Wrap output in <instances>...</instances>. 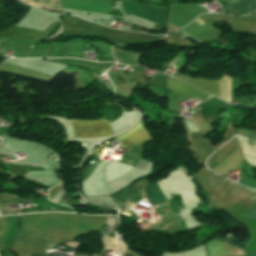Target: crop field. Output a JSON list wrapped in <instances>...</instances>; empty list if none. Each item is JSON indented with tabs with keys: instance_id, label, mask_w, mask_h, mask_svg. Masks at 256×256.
I'll return each mask as SVG.
<instances>
[{
	"instance_id": "8a807250",
	"label": "crop field",
	"mask_w": 256,
	"mask_h": 256,
	"mask_svg": "<svg viewBox=\"0 0 256 256\" xmlns=\"http://www.w3.org/2000/svg\"><path fill=\"white\" fill-rule=\"evenodd\" d=\"M76 138L113 134L107 121L103 119L90 121L70 120Z\"/></svg>"
},
{
	"instance_id": "ac0d7876",
	"label": "crop field",
	"mask_w": 256,
	"mask_h": 256,
	"mask_svg": "<svg viewBox=\"0 0 256 256\" xmlns=\"http://www.w3.org/2000/svg\"><path fill=\"white\" fill-rule=\"evenodd\" d=\"M166 86L174 92L180 102L191 98H198L202 101L210 97L200 90L174 78L166 79Z\"/></svg>"
},
{
	"instance_id": "34b2d1b8",
	"label": "crop field",
	"mask_w": 256,
	"mask_h": 256,
	"mask_svg": "<svg viewBox=\"0 0 256 256\" xmlns=\"http://www.w3.org/2000/svg\"><path fill=\"white\" fill-rule=\"evenodd\" d=\"M122 146H128L139 142L151 140L150 135L143 126L142 122L129 133L118 137Z\"/></svg>"
},
{
	"instance_id": "412701ff",
	"label": "crop field",
	"mask_w": 256,
	"mask_h": 256,
	"mask_svg": "<svg viewBox=\"0 0 256 256\" xmlns=\"http://www.w3.org/2000/svg\"><path fill=\"white\" fill-rule=\"evenodd\" d=\"M226 10L229 15H244L256 10V0H231Z\"/></svg>"
},
{
	"instance_id": "f4fd0767",
	"label": "crop field",
	"mask_w": 256,
	"mask_h": 256,
	"mask_svg": "<svg viewBox=\"0 0 256 256\" xmlns=\"http://www.w3.org/2000/svg\"><path fill=\"white\" fill-rule=\"evenodd\" d=\"M174 77L185 80V81L191 83L192 85H194V86H196V87H198L216 97L218 95L220 80L212 81V80H206V79H202V78L191 79V78H188L180 73L174 75Z\"/></svg>"
},
{
	"instance_id": "dd49c442",
	"label": "crop field",
	"mask_w": 256,
	"mask_h": 256,
	"mask_svg": "<svg viewBox=\"0 0 256 256\" xmlns=\"http://www.w3.org/2000/svg\"><path fill=\"white\" fill-rule=\"evenodd\" d=\"M40 33L42 32L23 28L9 27L0 32V39L14 37L18 39L30 40L35 36L39 35Z\"/></svg>"
},
{
	"instance_id": "e52e79f7",
	"label": "crop field",
	"mask_w": 256,
	"mask_h": 256,
	"mask_svg": "<svg viewBox=\"0 0 256 256\" xmlns=\"http://www.w3.org/2000/svg\"><path fill=\"white\" fill-rule=\"evenodd\" d=\"M147 194V198L154 204L158 205L160 202L168 200L163 192L159 189L155 182L145 185L143 189Z\"/></svg>"
},
{
	"instance_id": "d8731c3e",
	"label": "crop field",
	"mask_w": 256,
	"mask_h": 256,
	"mask_svg": "<svg viewBox=\"0 0 256 256\" xmlns=\"http://www.w3.org/2000/svg\"><path fill=\"white\" fill-rule=\"evenodd\" d=\"M48 242L49 241L46 240L28 238L18 235L15 244L46 248Z\"/></svg>"
},
{
	"instance_id": "5a996713",
	"label": "crop field",
	"mask_w": 256,
	"mask_h": 256,
	"mask_svg": "<svg viewBox=\"0 0 256 256\" xmlns=\"http://www.w3.org/2000/svg\"><path fill=\"white\" fill-rule=\"evenodd\" d=\"M251 199L256 200V196L251 198ZM242 215H246V216H250V217H256V208L251 209V210L243 213Z\"/></svg>"
},
{
	"instance_id": "3316defc",
	"label": "crop field",
	"mask_w": 256,
	"mask_h": 256,
	"mask_svg": "<svg viewBox=\"0 0 256 256\" xmlns=\"http://www.w3.org/2000/svg\"><path fill=\"white\" fill-rule=\"evenodd\" d=\"M245 22L249 23L250 25L256 24V16L253 17H242Z\"/></svg>"
},
{
	"instance_id": "28ad6ade",
	"label": "crop field",
	"mask_w": 256,
	"mask_h": 256,
	"mask_svg": "<svg viewBox=\"0 0 256 256\" xmlns=\"http://www.w3.org/2000/svg\"><path fill=\"white\" fill-rule=\"evenodd\" d=\"M123 256H141V255L136 253V252H133V251L127 249Z\"/></svg>"
},
{
	"instance_id": "d1516ede",
	"label": "crop field",
	"mask_w": 256,
	"mask_h": 256,
	"mask_svg": "<svg viewBox=\"0 0 256 256\" xmlns=\"http://www.w3.org/2000/svg\"><path fill=\"white\" fill-rule=\"evenodd\" d=\"M148 230L158 231V232H162V233H166V234H174L175 233V232L163 231V230L152 229V228H149Z\"/></svg>"
},
{
	"instance_id": "22f410ed",
	"label": "crop field",
	"mask_w": 256,
	"mask_h": 256,
	"mask_svg": "<svg viewBox=\"0 0 256 256\" xmlns=\"http://www.w3.org/2000/svg\"><path fill=\"white\" fill-rule=\"evenodd\" d=\"M240 184H242V185H244V186H246V187H248V188H250V189H252V190H255L256 191V188L255 187H252V186H250V185H248V184H246V183H244V182H239Z\"/></svg>"
},
{
	"instance_id": "cbeb9de0",
	"label": "crop field",
	"mask_w": 256,
	"mask_h": 256,
	"mask_svg": "<svg viewBox=\"0 0 256 256\" xmlns=\"http://www.w3.org/2000/svg\"><path fill=\"white\" fill-rule=\"evenodd\" d=\"M195 21H196L200 26L204 24L203 22H201L202 20L200 21L199 19H197V20H195Z\"/></svg>"
},
{
	"instance_id": "5142ce71",
	"label": "crop field",
	"mask_w": 256,
	"mask_h": 256,
	"mask_svg": "<svg viewBox=\"0 0 256 256\" xmlns=\"http://www.w3.org/2000/svg\"><path fill=\"white\" fill-rule=\"evenodd\" d=\"M1 233H2V228H1V224H0V235H1Z\"/></svg>"
}]
</instances>
